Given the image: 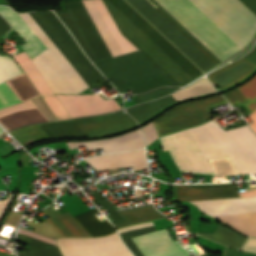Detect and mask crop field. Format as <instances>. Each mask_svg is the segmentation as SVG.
Wrapping results in <instances>:
<instances>
[{
	"label": "crop field",
	"mask_w": 256,
	"mask_h": 256,
	"mask_svg": "<svg viewBox=\"0 0 256 256\" xmlns=\"http://www.w3.org/2000/svg\"><path fill=\"white\" fill-rule=\"evenodd\" d=\"M221 61L246 47L256 33V0H157Z\"/></svg>",
	"instance_id": "1"
},
{
	"label": "crop field",
	"mask_w": 256,
	"mask_h": 256,
	"mask_svg": "<svg viewBox=\"0 0 256 256\" xmlns=\"http://www.w3.org/2000/svg\"><path fill=\"white\" fill-rule=\"evenodd\" d=\"M189 131L206 159L228 155L240 174L256 173V135L248 125L225 131L210 120ZM189 131L160 137L164 151H170L180 172L214 174Z\"/></svg>",
	"instance_id": "2"
},
{
	"label": "crop field",
	"mask_w": 256,
	"mask_h": 256,
	"mask_svg": "<svg viewBox=\"0 0 256 256\" xmlns=\"http://www.w3.org/2000/svg\"><path fill=\"white\" fill-rule=\"evenodd\" d=\"M48 48L33 62L55 93H79L94 83L105 79L91 64L81 48L52 11L18 13Z\"/></svg>",
	"instance_id": "3"
},
{
	"label": "crop field",
	"mask_w": 256,
	"mask_h": 256,
	"mask_svg": "<svg viewBox=\"0 0 256 256\" xmlns=\"http://www.w3.org/2000/svg\"><path fill=\"white\" fill-rule=\"evenodd\" d=\"M121 33L178 86L203 73L124 0H103Z\"/></svg>",
	"instance_id": "4"
},
{
	"label": "crop field",
	"mask_w": 256,
	"mask_h": 256,
	"mask_svg": "<svg viewBox=\"0 0 256 256\" xmlns=\"http://www.w3.org/2000/svg\"><path fill=\"white\" fill-rule=\"evenodd\" d=\"M94 1L123 54L137 51V49L120 33L102 0ZM94 1L83 0L113 57L122 55L119 46L117 45ZM83 2L82 0L64 1L65 11H55V13L65 23L76 41L93 63L112 58L110 51L101 38Z\"/></svg>",
	"instance_id": "5"
},
{
	"label": "crop field",
	"mask_w": 256,
	"mask_h": 256,
	"mask_svg": "<svg viewBox=\"0 0 256 256\" xmlns=\"http://www.w3.org/2000/svg\"><path fill=\"white\" fill-rule=\"evenodd\" d=\"M204 73L222 63L155 0H126Z\"/></svg>",
	"instance_id": "6"
},
{
	"label": "crop field",
	"mask_w": 256,
	"mask_h": 256,
	"mask_svg": "<svg viewBox=\"0 0 256 256\" xmlns=\"http://www.w3.org/2000/svg\"><path fill=\"white\" fill-rule=\"evenodd\" d=\"M192 203L198 206L203 212L211 216L256 211V196L234 199L194 201ZM215 218L231 225L249 236H256V212L217 216Z\"/></svg>",
	"instance_id": "7"
},
{
	"label": "crop field",
	"mask_w": 256,
	"mask_h": 256,
	"mask_svg": "<svg viewBox=\"0 0 256 256\" xmlns=\"http://www.w3.org/2000/svg\"><path fill=\"white\" fill-rule=\"evenodd\" d=\"M222 96L198 100L178 106L153 121L158 136L200 125L210 117L208 107L224 103Z\"/></svg>",
	"instance_id": "8"
},
{
	"label": "crop field",
	"mask_w": 256,
	"mask_h": 256,
	"mask_svg": "<svg viewBox=\"0 0 256 256\" xmlns=\"http://www.w3.org/2000/svg\"><path fill=\"white\" fill-rule=\"evenodd\" d=\"M57 243L64 256H132L117 233L101 238L58 239Z\"/></svg>",
	"instance_id": "9"
},
{
	"label": "crop field",
	"mask_w": 256,
	"mask_h": 256,
	"mask_svg": "<svg viewBox=\"0 0 256 256\" xmlns=\"http://www.w3.org/2000/svg\"><path fill=\"white\" fill-rule=\"evenodd\" d=\"M56 95L72 118L121 109L115 99H103L98 94Z\"/></svg>",
	"instance_id": "10"
},
{
	"label": "crop field",
	"mask_w": 256,
	"mask_h": 256,
	"mask_svg": "<svg viewBox=\"0 0 256 256\" xmlns=\"http://www.w3.org/2000/svg\"><path fill=\"white\" fill-rule=\"evenodd\" d=\"M86 137L100 136L118 132L134 125L136 122L122 111L104 116H95L74 120Z\"/></svg>",
	"instance_id": "11"
},
{
	"label": "crop field",
	"mask_w": 256,
	"mask_h": 256,
	"mask_svg": "<svg viewBox=\"0 0 256 256\" xmlns=\"http://www.w3.org/2000/svg\"><path fill=\"white\" fill-rule=\"evenodd\" d=\"M144 256H189L177 240L172 241L168 230H160L133 238Z\"/></svg>",
	"instance_id": "12"
},
{
	"label": "crop field",
	"mask_w": 256,
	"mask_h": 256,
	"mask_svg": "<svg viewBox=\"0 0 256 256\" xmlns=\"http://www.w3.org/2000/svg\"><path fill=\"white\" fill-rule=\"evenodd\" d=\"M22 69L25 71L29 79L38 89L39 93L43 97L45 103L57 118V120L68 119L70 116L61 105L45 79L42 77L32 60L27 56L25 52L14 56ZM72 118V117H71Z\"/></svg>",
	"instance_id": "13"
},
{
	"label": "crop field",
	"mask_w": 256,
	"mask_h": 256,
	"mask_svg": "<svg viewBox=\"0 0 256 256\" xmlns=\"http://www.w3.org/2000/svg\"><path fill=\"white\" fill-rule=\"evenodd\" d=\"M42 121L48 119L31 100L0 110V123L8 131L24 124Z\"/></svg>",
	"instance_id": "14"
},
{
	"label": "crop field",
	"mask_w": 256,
	"mask_h": 256,
	"mask_svg": "<svg viewBox=\"0 0 256 256\" xmlns=\"http://www.w3.org/2000/svg\"><path fill=\"white\" fill-rule=\"evenodd\" d=\"M70 149L86 145L87 151L103 148L105 153H114L126 150L144 148V138L139 130L124 134L108 140H95L89 142H71L67 143Z\"/></svg>",
	"instance_id": "15"
},
{
	"label": "crop field",
	"mask_w": 256,
	"mask_h": 256,
	"mask_svg": "<svg viewBox=\"0 0 256 256\" xmlns=\"http://www.w3.org/2000/svg\"><path fill=\"white\" fill-rule=\"evenodd\" d=\"M97 171L132 166L133 170L147 168L145 150L115 153L86 159Z\"/></svg>",
	"instance_id": "16"
},
{
	"label": "crop field",
	"mask_w": 256,
	"mask_h": 256,
	"mask_svg": "<svg viewBox=\"0 0 256 256\" xmlns=\"http://www.w3.org/2000/svg\"><path fill=\"white\" fill-rule=\"evenodd\" d=\"M178 200L194 201L239 197L234 185H216L206 187L177 186Z\"/></svg>",
	"instance_id": "17"
},
{
	"label": "crop field",
	"mask_w": 256,
	"mask_h": 256,
	"mask_svg": "<svg viewBox=\"0 0 256 256\" xmlns=\"http://www.w3.org/2000/svg\"><path fill=\"white\" fill-rule=\"evenodd\" d=\"M0 13L12 25V27L28 42L22 45V48L31 59L47 49L44 44L38 39V37L31 31V29L25 24V22L19 17V15L15 13L12 9L0 7Z\"/></svg>",
	"instance_id": "18"
},
{
	"label": "crop field",
	"mask_w": 256,
	"mask_h": 256,
	"mask_svg": "<svg viewBox=\"0 0 256 256\" xmlns=\"http://www.w3.org/2000/svg\"><path fill=\"white\" fill-rule=\"evenodd\" d=\"M256 65L239 59L236 62L221 68L207 77L220 89L226 88L249 75Z\"/></svg>",
	"instance_id": "19"
},
{
	"label": "crop field",
	"mask_w": 256,
	"mask_h": 256,
	"mask_svg": "<svg viewBox=\"0 0 256 256\" xmlns=\"http://www.w3.org/2000/svg\"><path fill=\"white\" fill-rule=\"evenodd\" d=\"M18 233L57 246L54 239L43 237L37 233L29 232L22 229H18ZM19 234V240L27 244V249L23 252H18V256H62L58 247Z\"/></svg>",
	"instance_id": "20"
},
{
	"label": "crop field",
	"mask_w": 256,
	"mask_h": 256,
	"mask_svg": "<svg viewBox=\"0 0 256 256\" xmlns=\"http://www.w3.org/2000/svg\"><path fill=\"white\" fill-rule=\"evenodd\" d=\"M49 218L47 220L63 237H91L86 230L68 212H54L49 206L42 210Z\"/></svg>",
	"instance_id": "21"
},
{
	"label": "crop field",
	"mask_w": 256,
	"mask_h": 256,
	"mask_svg": "<svg viewBox=\"0 0 256 256\" xmlns=\"http://www.w3.org/2000/svg\"><path fill=\"white\" fill-rule=\"evenodd\" d=\"M119 213L127 222L116 225L117 228L164 218L152 204L120 211Z\"/></svg>",
	"instance_id": "22"
},
{
	"label": "crop field",
	"mask_w": 256,
	"mask_h": 256,
	"mask_svg": "<svg viewBox=\"0 0 256 256\" xmlns=\"http://www.w3.org/2000/svg\"><path fill=\"white\" fill-rule=\"evenodd\" d=\"M98 212L99 211L97 208H95L88 212L77 215L75 218L93 237L103 236L115 232L116 229L108 221L101 223L98 220V218L94 215Z\"/></svg>",
	"instance_id": "23"
},
{
	"label": "crop field",
	"mask_w": 256,
	"mask_h": 256,
	"mask_svg": "<svg viewBox=\"0 0 256 256\" xmlns=\"http://www.w3.org/2000/svg\"><path fill=\"white\" fill-rule=\"evenodd\" d=\"M174 102L177 101L170 95L166 98L158 99L147 104L127 109V112L131 114L138 123H141Z\"/></svg>",
	"instance_id": "24"
},
{
	"label": "crop field",
	"mask_w": 256,
	"mask_h": 256,
	"mask_svg": "<svg viewBox=\"0 0 256 256\" xmlns=\"http://www.w3.org/2000/svg\"><path fill=\"white\" fill-rule=\"evenodd\" d=\"M6 83L15 93V95L19 98L20 101L38 95L24 73L6 81Z\"/></svg>",
	"instance_id": "25"
},
{
	"label": "crop field",
	"mask_w": 256,
	"mask_h": 256,
	"mask_svg": "<svg viewBox=\"0 0 256 256\" xmlns=\"http://www.w3.org/2000/svg\"><path fill=\"white\" fill-rule=\"evenodd\" d=\"M216 91V89L209 83L206 78H202L199 81L195 82L189 87H186L174 94L172 96L177 100H183L186 98L198 96L201 94H206L209 92Z\"/></svg>",
	"instance_id": "26"
},
{
	"label": "crop field",
	"mask_w": 256,
	"mask_h": 256,
	"mask_svg": "<svg viewBox=\"0 0 256 256\" xmlns=\"http://www.w3.org/2000/svg\"><path fill=\"white\" fill-rule=\"evenodd\" d=\"M49 136L83 134L74 121L40 126Z\"/></svg>",
	"instance_id": "27"
},
{
	"label": "crop field",
	"mask_w": 256,
	"mask_h": 256,
	"mask_svg": "<svg viewBox=\"0 0 256 256\" xmlns=\"http://www.w3.org/2000/svg\"><path fill=\"white\" fill-rule=\"evenodd\" d=\"M237 89L248 101L244 105L252 112L256 108V76Z\"/></svg>",
	"instance_id": "28"
},
{
	"label": "crop field",
	"mask_w": 256,
	"mask_h": 256,
	"mask_svg": "<svg viewBox=\"0 0 256 256\" xmlns=\"http://www.w3.org/2000/svg\"><path fill=\"white\" fill-rule=\"evenodd\" d=\"M22 73L12 58L0 56V82Z\"/></svg>",
	"instance_id": "29"
},
{
	"label": "crop field",
	"mask_w": 256,
	"mask_h": 256,
	"mask_svg": "<svg viewBox=\"0 0 256 256\" xmlns=\"http://www.w3.org/2000/svg\"><path fill=\"white\" fill-rule=\"evenodd\" d=\"M92 196L99 202V204L108 212V214L116 221L114 225L125 222L122 216L114 209V207L105 199V197L97 190Z\"/></svg>",
	"instance_id": "30"
},
{
	"label": "crop field",
	"mask_w": 256,
	"mask_h": 256,
	"mask_svg": "<svg viewBox=\"0 0 256 256\" xmlns=\"http://www.w3.org/2000/svg\"><path fill=\"white\" fill-rule=\"evenodd\" d=\"M19 102L5 82L0 83V109Z\"/></svg>",
	"instance_id": "31"
},
{
	"label": "crop field",
	"mask_w": 256,
	"mask_h": 256,
	"mask_svg": "<svg viewBox=\"0 0 256 256\" xmlns=\"http://www.w3.org/2000/svg\"><path fill=\"white\" fill-rule=\"evenodd\" d=\"M177 89H179V88H160V89H158L156 91H153V92L138 95L137 100H136V104L140 103V102H145V101H148V100H151V99H155V98L164 96L166 94H170V93L176 91Z\"/></svg>",
	"instance_id": "32"
},
{
	"label": "crop field",
	"mask_w": 256,
	"mask_h": 256,
	"mask_svg": "<svg viewBox=\"0 0 256 256\" xmlns=\"http://www.w3.org/2000/svg\"><path fill=\"white\" fill-rule=\"evenodd\" d=\"M225 95L234 106L241 104L243 102H246L244 97L239 93V91L237 89L230 91V92L226 93Z\"/></svg>",
	"instance_id": "33"
},
{
	"label": "crop field",
	"mask_w": 256,
	"mask_h": 256,
	"mask_svg": "<svg viewBox=\"0 0 256 256\" xmlns=\"http://www.w3.org/2000/svg\"><path fill=\"white\" fill-rule=\"evenodd\" d=\"M145 135H146V139H147V145L150 144L153 140H155L156 138H158L155 128L153 126V123H150L144 127H142Z\"/></svg>",
	"instance_id": "34"
},
{
	"label": "crop field",
	"mask_w": 256,
	"mask_h": 256,
	"mask_svg": "<svg viewBox=\"0 0 256 256\" xmlns=\"http://www.w3.org/2000/svg\"><path fill=\"white\" fill-rule=\"evenodd\" d=\"M241 250L256 253V238H248Z\"/></svg>",
	"instance_id": "35"
},
{
	"label": "crop field",
	"mask_w": 256,
	"mask_h": 256,
	"mask_svg": "<svg viewBox=\"0 0 256 256\" xmlns=\"http://www.w3.org/2000/svg\"><path fill=\"white\" fill-rule=\"evenodd\" d=\"M152 225H154L153 222L142 223V224L124 227V228L119 229L118 231H119V233H122V232L140 229V228H144V227H148V226H152Z\"/></svg>",
	"instance_id": "36"
},
{
	"label": "crop field",
	"mask_w": 256,
	"mask_h": 256,
	"mask_svg": "<svg viewBox=\"0 0 256 256\" xmlns=\"http://www.w3.org/2000/svg\"><path fill=\"white\" fill-rule=\"evenodd\" d=\"M10 29V25L0 17V36L6 33Z\"/></svg>",
	"instance_id": "37"
},
{
	"label": "crop field",
	"mask_w": 256,
	"mask_h": 256,
	"mask_svg": "<svg viewBox=\"0 0 256 256\" xmlns=\"http://www.w3.org/2000/svg\"><path fill=\"white\" fill-rule=\"evenodd\" d=\"M217 224H199V231L213 232Z\"/></svg>",
	"instance_id": "38"
},
{
	"label": "crop field",
	"mask_w": 256,
	"mask_h": 256,
	"mask_svg": "<svg viewBox=\"0 0 256 256\" xmlns=\"http://www.w3.org/2000/svg\"><path fill=\"white\" fill-rule=\"evenodd\" d=\"M243 58L256 64V46L252 49V51L250 53L245 55Z\"/></svg>",
	"instance_id": "39"
},
{
	"label": "crop field",
	"mask_w": 256,
	"mask_h": 256,
	"mask_svg": "<svg viewBox=\"0 0 256 256\" xmlns=\"http://www.w3.org/2000/svg\"><path fill=\"white\" fill-rule=\"evenodd\" d=\"M249 116L253 122L252 124H250V127L256 132V110Z\"/></svg>",
	"instance_id": "40"
},
{
	"label": "crop field",
	"mask_w": 256,
	"mask_h": 256,
	"mask_svg": "<svg viewBox=\"0 0 256 256\" xmlns=\"http://www.w3.org/2000/svg\"><path fill=\"white\" fill-rule=\"evenodd\" d=\"M3 130L0 128V133L2 132Z\"/></svg>",
	"instance_id": "41"
}]
</instances>
